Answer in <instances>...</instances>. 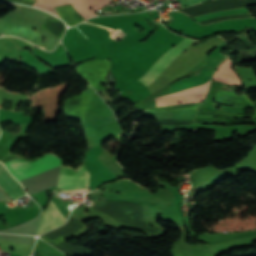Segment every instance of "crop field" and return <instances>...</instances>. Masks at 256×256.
Here are the masks:
<instances>
[{
  "instance_id": "8a807250",
  "label": "crop field",
  "mask_w": 256,
  "mask_h": 256,
  "mask_svg": "<svg viewBox=\"0 0 256 256\" xmlns=\"http://www.w3.org/2000/svg\"><path fill=\"white\" fill-rule=\"evenodd\" d=\"M13 159V158H12ZM62 160L56 155L48 154L35 163L19 159L10 160L5 165L19 181L57 174Z\"/></svg>"
},
{
  "instance_id": "ac0d7876",
  "label": "crop field",
  "mask_w": 256,
  "mask_h": 256,
  "mask_svg": "<svg viewBox=\"0 0 256 256\" xmlns=\"http://www.w3.org/2000/svg\"><path fill=\"white\" fill-rule=\"evenodd\" d=\"M72 3L74 8L85 18L94 16L92 12L88 9L89 7H94L99 10L103 6L110 3V0H38L34 6L44 9L53 13L54 15L58 14L55 12L53 6H59L62 4Z\"/></svg>"
},
{
  "instance_id": "34b2d1b8",
  "label": "crop field",
  "mask_w": 256,
  "mask_h": 256,
  "mask_svg": "<svg viewBox=\"0 0 256 256\" xmlns=\"http://www.w3.org/2000/svg\"><path fill=\"white\" fill-rule=\"evenodd\" d=\"M103 151L101 145L97 144L88 152L84 162L91 173L90 191L96 189L102 183L116 180L98 160Z\"/></svg>"
},
{
  "instance_id": "412701ff",
  "label": "crop field",
  "mask_w": 256,
  "mask_h": 256,
  "mask_svg": "<svg viewBox=\"0 0 256 256\" xmlns=\"http://www.w3.org/2000/svg\"><path fill=\"white\" fill-rule=\"evenodd\" d=\"M86 170L82 164L79 171ZM61 171L76 172L70 168V166H62ZM89 173L88 171L79 173L60 172L57 186L64 187V193H78L83 191H89Z\"/></svg>"
},
{
  "instance_id": "f4fd0767",
  "label": "crop field",
  "mask_w": 256,
  "mask_h": 256,
  "mask_svg": "<svg viewBox=\"0 0 256 256\" xmlns=\"http://www.w3.org/2000/svg\"><path fill=\"white\" fill-rule=\"evenodd\" d=\"M209 82L194 88L155 98L156 105L157 107H160L180 103L200 102L207 92Z\"/></svg>"
},
{
  "instance_id": "dd49c442",
  "label": "crop field",
  "mask_w": 256,
  "mask_h": 256,
  "mask_svg": "<svg viewBox=\"0 0 256 256\" xmlns=\"http://www.w3.org/2000/svg\"><path fill=\"white\" fill-rule=\"evenodd\" d=\"M193 40L184 38L175 47L170 49L168 53L163 55L155 65L141 78L139 81L149 86L160 74V72L173 60V58L186 48Z\"/></svg>"
},
{
  "instance_id": "e52e79f7",
  "label": "crop field",
  "mask_w": 256,
  "mask_h": 256,
  "mask_svg": "<svg viewBox=\"0 0 256 256\" xmlns=\"http://www.w3.org/2000/svg\"><path fill=\"white\" fill-rule=\"evenodd\" d=\"M66 219L58 210L53 202H49L48 206L42 213V218L36 235H42L65 223Z\"/></svg>"
},
{
  "instance_id": "d8731c3e",
  "label": "crop field",
  "mask_w": 256,
  "mask_h": 256,
  "mask_svg": "<svg viewBox=\"0 0 256 256\" xmlns=\"http://www.w3.org/2000/svg\"><path fill=\"white\" fill-rule=\"evenodd\" d=\"M0 189L5 191L12 199L23 196V190L18 181L13 178L6 167L0 163ZM24 195L25 192H24Z\"/></svg>"
},
{
  "instance_id": "5a996713",
  "label": "crop field",
  "mask_w": 256,
  "mask_h": 256,
  "mask_svg": "<svg viewBox=\"0 0 256 256\" xmlns=\"http://www.w3.org/2000/svg\"><path fill=\"white\" fill-rule=\"evenodd\" d=\"M214 79L229 84H241L238 77L232 69V64L227 58L219 67L218 71L215 72Z\"/></svg>"
},
{
  "instance_id": "3316defc",
  "label": "crop field",
  "mask_w": 256,
  "mask_h": 256,
  "mask_svg": "<svg viewBox=\"0 0 256 256\" xmlns=\"http://www.w3.org/2000/svg\"><path fill=\"white\" fill-rule=\"evenodd\" d=\"M116 121L117 120L114 115L108 116V117L94 116L92 118H89V119L83 121V124L97 130V129L107 126L111 123H114Z\"/></svg>"
},
{
  "instance_id": "28ad6ade",
  "label": "crop field",
  "mask_w": 256,
  "mask_h": 256,
  "mask_svg": "<svg viewBox=\"0 0 256 256\" xmlns=\"http://www.w3.org/2000/svg\"><path fill=\"white\" fill-rule=\"evenodd\" d=\"M202 1H206V0H184L186 6H191V5H194V4H197L199 2H202Z\"/></svg>"
}]
</instances>
